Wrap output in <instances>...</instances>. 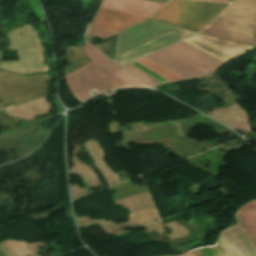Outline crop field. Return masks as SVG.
Wrapping results in <instances>:
<instances>
[{"mask_svg":"<svg viewBox=\"0 0 256 256\" xmlns=\"http://www.w3.org/2000/svg\"><path fill=\"white\" fill-rule=\"evenodd\" d=\"M200 33L254 47L256 27L216 17Z\"/></svg>","mask_w":256,"mask_h":256,"instance_id":"obj_4","label":"crop field"},{"mask_svg":"<svg viewBox=\"0 0 256 256\" xmlns=\"http://www.w3.org/2000/svg\"><path fill=\"white\" fill-rule=\"evenodd\" d=\"M254 202V204L256 205V200L255 201H253Z\"/></svg>","mask_w":256,"mask_h":256,"instance_id":"obj_19","label":"crop field"},{"mask_svg":"<svg viewBox=\"0 0 256 256\" xmlns=\"http://www.w3.org/2000/svg\"><path fill=\"white\" fill-rule=\"evenodd\" d=\"M218 17L256 26V0H232Z\"/></svg>","mask_w":256,"mask_h":256,"instance_id":"obj_8","label":"crop field"},{"mask_svg":"<svg viewBox=\"0 0 256 256\" xmlns=\"http://www.w3.org/2000/svg\"><path fill=\"white\" fill-rule=\"evenodd\" d=\"M227 5L190 0H172L151 20L198 32Z\"/></svg>","mask_w":256,"mask_h":256,"instance_id":"obj_2","label":"crop field"},{"mask_svg":"<svg viewBox=\"0 0 256 256\" xmlns=\"http://www.w3.org/2000/svg\"><path fill=\"white\" fill-rule=\"evenodd\" d=\"M116 77H118L119 79L123 80L124 82H126L127 84H129L132 87H148V88H152L149 85H147L146 83L142 82L141 80H139L138 78H136L135 76H133L132 74H130L129 72H127L126 70H121L115 74Z\"/></svg>","mask_w":256,"mask_h":256,"instance_id":"obj_12","label":"crop field"},{"mask_svg":"<svg viewBox=\"0 0 256 256\" xmlns=\"http://www.w3.org/2000/svg\"><path fill=\"white\" fill-rule=\"evenodd\" d=\"M146 58L182 79L202 78L224 64L182 41Z\"/></svg>","mask_w":256,"mask_h":256,"instance_id":"obj_1","label":"crop field"},{"mask_svg":"<svg viewBox=\"0 0 256 256\" xmlns=\"http://www.w3.org/2000/svg\"><path fill=\"white\" fill-rule=\"evenodd\" d=\"M237 217L256 242V206L253 202L244 206Z\"/></svg>","mask_w":256,"mask_h":256,"instance_id":"obj_10","label":"crop field"},{"mask_svg":"<svg viewBox=\"0 0 256 256\" xmlns=\"http://www.w3.org/2000/svg\"><path fill=\"white\" fill-rule=\"evenodd\" d=\"M180 256H195V255L192 253V251H190V252H188L186 254H182Z\"/></svg>","mask_w":256,"mask_h":256,"instance_id":"obj_18","label":"crop field"},{"mask_svg":"<svg viewBox=\"0 0 256 256\" xmlns=\"http://www.w3.org/2000/svg\"><path fill=\"white\" fill-rule=\"evenodd\" d=\"M65 77L70 91L81 103L103 92L130 87L93 62Z\"/></svg>","mask_w":256,"mask_h":256,"instance_id":"obj_3","label":"crop field"},{"mask_svg":"<svg viewBox=\"0 0 256 256\" xmlns=\"http://www.w3.org/2000/svg\"><path fill=\"white\" fill-rule=\"evenodd\" d=\"M133 65H135L136 67L140 68L141 70L145 71L146 73H148L149 75L153 76L154 78L158 79L159 81L165 83L168 82L167 80H165L164 78L158 76L157 74L153 73L152 71L148 70L147 68L141 66L140 64L134 62L132 63Z\"/></svg>","mask_w":256,"mask_h":256,"instance_id":"obj_16","label":"crop field"},{"mask_svg":"<svg viewBox=\"0 0 256 256\" xmlns=\"http://www.w3.org/2000/svg\"><path fill=\"white\" fill-rule=\"evenodd\" d=\"M88 35H94V36H99L103 39L112 36V35H116V33H111V32H106V31H101V30H96V29H91L89 28L87 33Z\"/></svg>","mask_w":256,"mask_h":256,"instance_id":"obj_15","label":"crop field"},{"mask_svg":"<svg viewBox=\"0 0 256 256\" xmlns=\"http://www.w3.org/2000/svg\"><path fill=\"white\" fill-rule=\"evenodd\" d=\"M194 253L197 256H229L219 242L216 247L197 249Z\"/></svg>","mask_w":256,"mask_h":256,"instance_id":"obj_13","label":"crop field"},{"mask_svg":"<svg viewBox=\"0 0 256 256\" xmlns=\"http://www.w3.org/2000/svg\"><path fill=\"white\" fill-rule=\"evenodd\" d=\"M203 1H214V2L229 3V0H203Z\"/></svg>","mask_w":256,"mask_h":256,"instance_id":"obj_17","label":"crop field"},{"mask_svg":"<svg viewBox=\"0 0 256 256\" xmlns=\"http://www.w3.org/2000/svg\"><path fill=\"white\" fill-rule=\"evenodd\" d=\"M163 4L142 0H103L102 8L150 17ZM154 15V14H153Z\"/></svg>","mask_w":256,"mask_h":256,"instance_id":"obj_7","label":"crop field"},{"mask_svg":"<svg viewBox=\"0 0 256 256\" xmlns=\"http://www.w3.org/2000/svg\"><path fill=\"white\" fill-rule=\"evenodd\" d=\"M241 225L223 231L219 241L230 256H256V245Z\"/></svg>","mask_w":256,"mask_h":256,"instance_id":"obj_5","label":"crop field"},{"mask_svg":"<svg viewBox=\"0 0 256 256\" xmlns=\"http://www.w3.org/2000/svg\"><path fill=\"white\" fill-rule=\"evenodd\" d=\"M125 68H127L128 70H130L131 72H133L134 74H136L137 76H139L140 78H142L154 87L162 84L158 80L154 79L153 77L149 76L148 74H146L145 72L141 71L140 69L136 68L131 64L125 66Z\"/></svg>","mask_w":256,"mask_h":256,"instance_id":"obj_14","label":"crop field"},{"mask_svg":"<svg viewBox=\"0 0 256 256\" xmlns=\"http://www.w3.org/2000/svg\"><path fill=\"white\" fill-rule=\"evenodd\" d=\"M85 55L98 64L99 66L103 67L110 73H115L123 68H121L119 65H117L115 62L101 54L98 49L90 44H87L82 47Z\"/></svg>","mask_w":256,"mask_h":256,"instance_id":"obj_9","label":"crop field"},{"mask_svg":"<svg viewBox=\"0 0 256 256\" xmlns=\"http://www.w3.org/2000/svg\"><path fill=\"white\" fill-rule=\"evenodd\" d=\"M147 19V17L100 8L94 22L89 24V27L118 33Z\"/></svg>","mask_w":256,"mask_h":256,"instance_id":"obj_6","label":"crop field"},{"mask_svg":"<svg viewBox=\"0 0 256 256\" xmlns=\"http://www.w3.org/2000/svg\"><path fill=\"white\" fill-rule=\"evenodd\" d=\"M141 65L147 67L148 69L152 70L153 72L157 73L158 75L164 77L165 79L169 81H177L181 80L180 78L176 77L175 75L171 74L170 72L164 70L163 68L157 66L156 64L152 63L151 61L143 58L139 61H137Z\"/></svg>","mask_w":256,"mask_h":256,"instance_id":"obj_11","label":"crop field"}]
</instances>
